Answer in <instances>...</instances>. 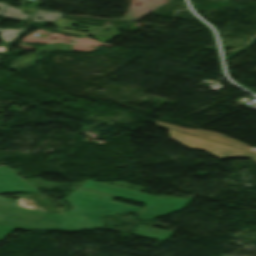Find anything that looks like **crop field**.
I'll return each mask as SVG.
<instances>
[{
  "label": "crop field",
  "instance_id": "8a807250",
  "mask_svg": "<svg viewBox=\"0 0 256 256\" xmlns=\"http://www.w3.org/2000/svg\"><path fill=\"white\" fill-rule=\"evenodd\" d=\"M112 196L77 188L64 200L72 209L54 214L48 229L82 230L102 228V216L124 211L139 212L138 207L112 201Z\"/></svg>",
  "mask_w": 256,
  "mask_h": 256
},
{
  "label": "crop field",
  "instance_id": "ac0d7876",
  "mask_svg": "<svg viewBox=\"0 0 256 256\" xmlns=\"http://www.w3.org/2000/svg\"><path fill=\"white\" fill-rule=\"evenodd\" d=\"M169 134L172 135L170 137L171 139L179 141L184 146L189 147L191 149L206 150L219 159H223L227 157H244V158H249L256 163V154L235 149V148L218 144L215 142H211L205 139H201V138L188 135L182 132L174 131L171 129H169ZM173 136H178V137H173Z\"/></svg>",
  "mask_w": 256,
  "mask_h": 256
},
{
  "label": "crop field",
  "instance_id": "34b2d1b8",
  "mask_svg": "<svg viewBox=\"0 0 256 256\" xmlns=\"http://www.w3.org/2000/svg\"><path fill=\"white\" fill-rule=\"evenodd\" d=\"M154 124H158V125L165 126V127H168V128L176 129V130L183 131V132H186V133H189V134H193V135H196V136H199V137H202V138H206V139H209V140H212V141H216V142H219V143H223V144H226V145H230V146H233V147H236V148H240V149H243V150H247V151L256 153V151L253 150L251 147H249V146H247V145H245V144H243V143H241V142H239L235 139L225 137V136H223L219 133H216V132H211V131H206V130H197V129H185V128L173 126V125L158 122V121L154 122Z\"/></svg>",
  "mask_w": 256,
  "mask_h": 256
},
{
  "label": "crop field",
  "instance_id": "412701ff",
  "mask_svg": "<svg viewBox=\"0 0 256 256\" xmlns=\"http://www.w3.org/2000/svg\"><path fill=\"white\" fill-rule=\"evenodd\" d=\"M0 192H37L6 166L0 167Z\"/></svg>",
  "mask_w": 256,
  "mask_h": 256
},
{
  "label": "crop field",
  "instance_id": "f4fd0767",
  "mask_svg": "<svg viewBox=\"0 0 256 256\" xmlns=\"http://www.w3.org/2000/svg\"><path fill=\"white\" fill-rule=\"evenodd\" d=\"M52 24L56 25L57 27H63V28H72L71 24H73V25H81V26L88 27V29L76 28L78 30L89 31L88 33L82 32V31H77V30H72L74 28H72V29L57 28L56 29L57 31H61V32H65V33H70V34H74V35H78V36L88 35V34L94 32L96 29L99 28L98 26H90V25H84V24H77V21L66 19L64 17H62L61 19L53 22ZM68 30H71V31H68Z\"/></svg>",
  "mask_w": 256,
  "mask_h": 256
},
{
  "label": "crop field",
  "instance_id": "dd49c442",
  "mask_svg": "<svg viewBox=\"0 0 256 256\" xmlns=\"http://www.w3.org/2000/svg\"><path fill=\"white\" fill-rule=\"evenodd\" d=\"M15 14L17 16H15ZM0 15L10 17V18L23 19V20H27L29 17L28 14H25L14 7H9L7 4H3V3H0Z\"/></svg>",
  "mask_w": 256,
  "mask_h": 256
},
{
  "label": "crop field",
  "instance_id": "e52e79f7",
  "mask_svg": "<svg viewBox=\"0 0 256 256\" xmlns=\"http://www.w3.org/2000/svg\"><path fill=\"white\" fill-rule=\"evenodd\" d=\"M105 29H110L108 31H104ZM120 34V32H118V30L112 29L110 27H104L102 28L100 31H98L97 33H95L93 35V39L100 41V42H107L109 39L112 40L114 39L116 36H118ZM99 36H102L106 39H103Z\"/></svg>",
  "mask_w": 256,
  "mask_h": 256
},
{
  "label": "crop field",
  "instance_id": "d8731c3e",
  "mask_svg": "<svg viewBox=\"0 0 256 256\" xmlns=\"http://www.w3.org/2000/svg\"><path fill=\"white\" fill-rule=\"evenodd\" d=\"M62 13L58 12H48V11H43V10H37L35 14L32 17V21H47V22H52L60 17H62ZM36 17H41L43 18L42 20H36Z\"/></svg>",
  "mask_w": 256,
  "mask_h": 256
},
{
  "label": "crop field",
  "instance_id": "5a996713",
  "mask_svg": "<svg viewBox=\"0 0 256 256\" xmlns=\"http://www.w3.org/2000/svg\"><path fill=\"white\" fill-rule=\"evenodd\" d=\"M25 29L23 28H20L19 30H15V29H12V30H9V29H5V30H1L0 29V38L4 41H7L9 43L13 42L14 39L17 36L18 33H20L21 31H23Z\"/></svg>",
  "mask_w": 256,
  "mask_h": 256
},
{
  "label": "crop field",
  "instance_id": "3316defc",
  "mask_svg": "<svg viewBox=\"0 0 256 256\" xmlns=\"http://www.w3.org/2000/svg\"><path fill=\"white\" fill-rule=\"evenodd\" d=\"M5 49L3 47H0V51H4Z\"/></svg>",
  "mask_w": 256,
  "mask_h": 256
}]
</instances>
